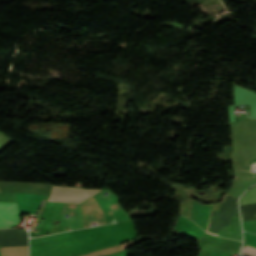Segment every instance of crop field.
<instances>
[{
    "label": "crop field",
    "instance_id": "crop-field-2",
    "mask_svg": "<svg viewBox=\"0 0 256 256\" xmlns=\"http://www.w3.org/2000/svg\"><path fill=\"white\" fill-rule=\"evenodd\" d=\"M17 222V205L0 203V228L16 226Z\"/></svg>",
    "mask_w": 256,
    "mask_h": 256
},
{
    "label": "crop field",
    "instance_id": "crop-field-3",
    "mask_svg": "<svg viewBox=\"0 0 256 256\" xmlns=\"http://www.w3.org/2000/svg\"><path fill=\"white\" fill-rule=\"evenodd\" d=\"M243 247H244V251H243L244 254L256 256V249L245 246V245Z\"/></svg>",
    "mask_w": 256,
    "mask_h": 256
},
{
    "label": "crop field",
    "instance_id": "crop-field-1",
    "mask_svg": "<svg viewBox=\"0 0 256 256\" xmlns=\"http://www.w3.org/2000/svg\"><path fill=\"white\" fill-rule=\"evenodd\" d=\"M100 190L53 186L48 201L80 203Z\"/></svg>",
    "mask_w": 256,
    "mask_h": 256
}]
</instances>
